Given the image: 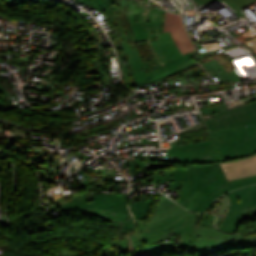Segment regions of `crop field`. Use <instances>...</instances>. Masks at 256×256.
I'll return each instance as SVG.
<instances>
[{
    "mask_svg": "<svg viewBox=\"0 0 256 256\" xmlns=\"http://www.w3.org/2000/svg\"><path fill=\"white\" fill-rule=\"evenodd\" d=\"M151 201L141 200L136 203L129 204V210L135 219H143L150 206Z\"/></svg>",
    "mask_w": 256,
    "mask_h": 256,
    "instance_id": "16",
    "label": "crop field"
},
{
    "mask_svg": "<svg viewBox=\"0 0 256 256\" xmlns=\"http://www.w3.org/2000/svg\"><path fill=\"white\" fill-rule=\"evenodd\" d=\"M191 194L194 191H202L204 196L200 197L193 211H200L207 198L217 189L232 184L227 183L224 174L218 163L206 165H189L188 166Z\"/></svg>",
    "mask_w": 256,
    "mask_h": 256,
    "instance_id": "4",
    "label": "crop field"
},
{
    "mask_svg": "<svg viewBox=\"0 0 256 256\" xmlns=\"http://www.w3.org/2000/svg\"><path fill=\"white\" fill-rule=\"evenodd\" d=\"M233 183H234V184H232V185L223 187V188H221V189L215 191V192L208 198V200L205 202V204H204V206H203L201 212H205L206 208L208 207V205L210 204V202H211L214 198H216V197H218V196H220V195H222V194H224V193H226V192H228V191H231V190H233V189L240 188V187H243V186H247V185L256 183V176L250 177V178H246V179H241V180H235V181H233ZM207 209H208V208H207Z\"/></svg>",
    "mask_w": 256,
    "mask_h": 256,
    "instance_id": "13",
    "label": "crop field"
},
{
    "mask_svg": "<svg viewBox=\"0 0 256 256\" xmlns=\"http://www.w3.org/2000/svg\"><path fill=\"white\" fill-rule=\"evenodd\" d=\"M175 233H176V232H173V233H171L170 235L165 236V237H166V238H170V237H172Z\"/></svg>",
    "mask_w": 256,
    "mask_h": 256,
    "instance_id": "21",
    "label": "crop field"
},
{
    "mask_svg": "<svg viewBox=\"0 0 256 256\" xmlns=\"http://www.w3.org/2000/svg\"><path fill=\"white\" fill-rule=\"evenodd\" d=\"M199 5L206 3L210 0H195ZM225 3H227L231 8H233L236 12L234 13L237 17H246L244 14H242L239 10L240 8L256 1V0H223Z\"/></svg>",
    "mask_w": 256,
    "mask_h": 256,
    "instance_id": "17",
    "label": "crop field"
},
{
    "mask_svg": "<svg viewBox=\"0 0 256 256\" xmlns=\"http://www.w3.org/2000/svg\"><path fill=\"white\" fill-rule=\"evenodd\" d=\"M166 31H170L171 36L182 55L196 50L185 31L180 15L167 12L164 32Z\"/></svg>",
    "mask_w": 256,
    "mask_h": 256,
    "instance_id": "11",
    "label": "crop field"
},
{
    "mask_svg": "<svg viewBox=\"0 0 256 256\" xmlns=\"http://www.w3.org/2000/svg\"><path fill=\"white\" fill-rule=\"evenodd\" d=\"M201 214L192 213L184 233L180 234L181 251L196 249L198 256H208L225 249L255 248L256 236L222 233L209 227H197ZM210 237V238H209Z\"/></svg>",
    "mask_w": 256,
    "mask_h": 256,
    "instance_id": "2",
    "label": "crop field"
},
{
    "mask_svg": "<svg viewBox=\"0 0 256 256\" xmlns=\"http://www.w3.org/2000/svg\"><path fill=\"white\" fill-rule=\"evenodd\" d=\"M183 232V230L182 231H180L179 233H182ZM179 233H177V234H179Z\"/></svg>",
    "mask_w": 256,
    "mask_h": 256,
    "instance_id": "23",
    "label": "crop field"
},
{
    "mask_svg": "<svg viewBox=\"0 0 256 256\" xmlns=\"http://www.w3.org/2000/svg\"><path fill=\"white\" fill-rule=\"evenodd\" d=\"M163 180L170 181L169 188H176L178 184H184V189L179 198V202L182 206L189 210H192L198 198L203 195L202 192H195L193 197H189L190 183L188 178V172L185 168H173V170L165 171V176H158L155 173L153 188L156 189L157 183Z\"/></svg>",
    "mask_w": 256,
    "mask_h": 256,
    "instance_id": "9",
    "label": "crop field"
},
{
    "mask_svg": "<svg viewBox=\"0 0 256 256\" xmlns=\"http://www.w3.org/2000/svg\"><path fill=\"white\" fill-rule=\"evenodd\" d=\"M227 181L256 175V154L233 161L220 163Z\"/></svg>",
    "mask_w": 256,
    "mask_h": 256,
    "instance_id": "12",
    "label": "crop field"
},
{
    "mask_svg": "<svg viewBox=\"0 0 256 256\" xmlns=\"http://www.w3.org/2000/svg\"><path fill=\"white\" fill-rule=\"evenodd\" d=\"M175 235H177V234H175ZM175 235L173 236V238H170L171 242H165V240H164L160 243L148 245V246H145V247H142V248H139V249H138V246L136 244L134 234L132 233L130 236H132L136 252L144 250V249L147 248V249H151L153 255H160V254H162L163 250H169V249H174L175 248Z\"/></svg>",
    "mask_w": 256,
    "mask_h": 256,
    "instance_id": "14",
    "label": "crop field"
},
{
    "mask_svg": "<svg viewBox=\"0 0 256 256\" xmlns=\"http://www.w3.org/2000/svg\"><path fill=\"white\" fill-rule=\"evenodd\" d=\"M81 1H83V2L91 5L92 7L102 11V10L106 9L115 0H81Z\"/></svg>",
    "mask_w": 256,
    "mask_h": 256,
    "instance_id": "18",
    "label": "crop field"
},
{
    "mask_svg": "<svg viewBox=\"0 0 256 256\" xmlns=\"http://www.w3.org/2000/svg\"><path fill=\"white\" fill-rule=\"evenodd\" d=\"M214 118L204 120L210 131L229 129L254 124L256 126V101L244 106L214 114Z\"/></svg>",
    "mask_w": 256,
    "mask_h": 256,
    "instance_id": "5",
    "label": "crop field"
},
{
    "mask_svg": "<svg viewBox=\"0 0 256 256\" xmlns=\"http://www.w3.org/2000/svg\"><path fill=\"white\" fill-rule=\"evenodd\" d=\"M247 35H248L250 38L256 37V36L253 35L251 32L247 33Z\"/></svg>",
    "mask_w": 256,
    "mask_h": 256,
    "instance_id": "20",
    "label": "crop field"
},
{
    "mask_svg": "<svg viewBox=\"0 0 256 256\" xmlns=\"http://www.w3.org/2000/svg\"><path fill=\"white\" fill-rule=\"evenodd\" d=\"M256 53V49L253 50Z\"/></svg>",
    "mask_w": 256,
    "mask_h": 256,
    "instance_id": "24",
    "label": "crop field"
},
{
    "mask_svg": "<svg viewBox=\"0 0 256 256\" xmlns=\"http://www.w3.org/2000/svg\"><path fill=\"white\" fill-rule=\"evenodd\" d=\"M122 15L106 10L113 21L117 48L128 57L136 84L175 76L197 64L193 53L182 56L170 33L158 34L156 18L160 10L147 0H117Z\"/></svg>",
    "mask_w": 256,
    "mask_h": 256,
    "instance_id": "1",
    "label": "crop field"
},
{
    "mask_svg": "<svg viewBox=\"0 0 256 256\" xmlns=\"http://www.w3.org/2000/svg\"><path fill=\"white\" fill-rule=\"evenodd\" d=\"M224 161L234 159L237 155L233 145L245 143L248 137L245 127H239L223 131L210 132Z\"/></svg>",
    "mask_w": 256,
    "mask_h": 256,
    "instance_id": "10",
    "label": "crop field"
},
{
    "mask_svg": "<svg viewBox=\"0 0 256 256\" xmlns=\"http://www.w3.org/2000/svg\"><path fill=\"white\" fill-rule=\"evenodd\" d=\"M162 13H166L165 11H160V14L158 16V19H157V26H158V31L160 33V24H161V18H162Z\"/></svg>",
    "mask_w": 256,
    "mask_h": 256,
    "instance_id": "19",
    "label": "crop field"
},
{
    "mask_svg": "<svg viewBox=\"0 0 256 256\" xmlns=\"http://www.w3.org/2000/svg\"><path fill=\"white\" fill-rule=\"evenodd\" d=\"M189 214L190 211L177 206L162 194L153 218L145 224L136 221L133 231L138 245L141 246L142 241L151 244L165 239L163 236L184 226L164 235L162 232L184 223Z\"/></svg>",
    "mask_w": 256,
    "mask_h": 256,
    "instance_id": "3",
    "label": "crop field"
},
{
    "mask_svg": "<svg viewBox=\"0 0 256 256\" xmlns=\"http://www.w3.org/2000/svg\"><path fill=\"white\" fill-rule=\"evenodd\" d=\"M231 205L220 230L232 233L238 225L244 209L256 205V185L245 187L228 193Z\"/></svg>",
    "mask_w": 256,
    "mask_h": 256,
    "instance_id": "7",
    "label": "crop field"
},
{
    "mask_svg": "<svg viewBox=\"0 0 256 256\" xmlns=\"http://www.w3.org/2000/svg\"><path fill=\"white\" fill-rule=\"evenodd\" d=\"M247 143L234 146L238 156L235 159L243 158L256 153V138L247 139Z\"/></svg>",
    "mask_w": 256,
    "mask_h": 256,
    "instance_id": "15",
    "label": "crop field"
},
{
    "mask_svg": "<svg viewBox=\"0 0 256 256\" xmlns=\"http://www.w3.org/2000/svg\"><path fill=\"white\" fill-rule=\"evenodd\" d=\"M168 149L171 156L189 164H205L223 161L213 140L178 147L174 142Z\"/></svg>",
    "mask_w": 256,
    "mask_h": 256,
    "instance_id": "6",
    "label": "crop field"
},
{
    "mask_svg": "<svg viewBox=\"0 0 256 256\" xmlns=\"http://www.w3.org/2000/svg\"><path fill=\"white\" fill-rule=\"evenodd\" d=\"M126 198L127 195L125 194L96 195L67 204H62L61 206L63 213L82 208H104L111 211L129 214L126 207Z\"/></svg>",
    "mask_w": 256,
    "mask_h": 256,
    "instance_id": "8",
    "label": "crop field"
},
{
    "mask_svg": "<svg viewBox=\"0 0 256 256\" xmlns=\"http://www.w3.org/2000/svg\"><path fill=\"white\" fill-rule=\"evenodd\" d=\"M182 230V229H181ZM180 231V230H179ZM179 231H177V232H179Z\"/></svg>",
    "mask_w": 256,
    "mask_h": 256,
    "instance_id": "25",
    "label": "crop field"
},
{
    "mask_svg": "<svg viewBox=\"0 0 256 256\" xmlns=\"http://www.w3.org/2000/svg\"><path fill=\"white\" fill-rule=\"evenodd\" d=\"M182 225H184V224H182ZM182 225H180V226H182ZM180 226H177V227H175V228H173V229H176V228H178V227H180ZM173 229H171V230H173ZM170 231V230H169ZM166 232H168V231H166ZM166 232H164V233H166Z\"/></svg>",
    "mask_w": 256,
    "mask_h": 256,
    "instance_id": "22",
    "label": "crop field"
}]
</instances>
